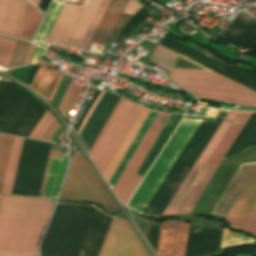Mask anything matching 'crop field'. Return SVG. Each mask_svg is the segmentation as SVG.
I'll return each mask as SVG.
<instances>
[{
	"mask_svg": "<svg viewBox=\"0 0 256 256\" xmlns=\"http://www.w3.org/2000/svg\"><path fill=\"white\" fill-rule=\"evenodd\" d=\"M251 113L228 112L162 215L190 214ZM202 120L183 119L128 203L142 214Z\"/></svg>",
	"mask_w": 256,
	"mask_h": 256,
	"instance_id": "obj_1",
	"label": "crop field"
},
{
	"mask_svg": "<svg viewBox=\"0 0 256 256\" xmlns=\"http://www.w3.org/2000/svg\"><path fill=\"white\" fill-rule=\"evenodd\" d=\"M53 202L4 196L0 210V251L37 253L38 239Z\"/></svg>",
	"mask_w": 256,
	"mask_h": 256,
	"instance_id": "obj_2",
	"label": "crop field"
},
{
	"mask_svg": "<svg viewBox=\"0 0 256 256\" xmlns=\"http://www.w3.org/2000/svg\"><path fill=\"white\" fill-rule=\"evenodd\" d=\"M169 77L198 97L256 106V92L216 73L173 69Z\"/></svg>",
	"mask_w": 256,
	"mask_h": 256,
	"instance_id": "obj_3",
	"label": "crop field"
},
{
	"mask_svg": "<svg viewBox=\"0 0 256 256\" xmlns=\"http://www.w3.org/2000/svg\"><path fill=\"white\" fill-rule=\"evenodd\" d=\"M59 200L94 201L102 204L110 212L119 210L90 164L78 149H76L71 158V165Z\"/></svg>",
	"mask_w": 256,
	"mask_h": 256,
	"instance_id": "obj_4",
	"label": "crop field"
},
{
	"mask_svg": "<svg viewBox=\"0 0 256 256\" xmlns=\"http://www.w3.org/2000/svg\"><path fill=\"white\" fill-rule=\"evenodd\" d=\"M50 146L24 139L11 194L38 197Z\"/></svg>",
	"mask_w": 256,
	"mask_h": 256,
	"instance_id": "obj_5",
	"label": "crop field"
},
{
	"mask_svg": "<svg viewBox=\"0 0 256 256\" xmlns=\"http://www.w3.org/2000/svg\"><path fill=\"white\" fill-rule=\"evenodd\" d=\"M101 0L65 3L46 43L78 48Z\"/></svg>",
	"mask_w": 256,
	"mask_h": 256,
	"instance_id": "obj_6",
	"label": "crop field"
},
{
	"mask_svg": "<svg viewBox=\"0 0 256 256\" xmlns=\"http://www.w3.org/2000/svg\"><path fill=\"white\" fill-rule=\"evenodd\" d=\"M100 256H150L128 222L113 219Z\"/></svg>",
	"mask_w": 256,
	"mask_h": 256,
	"instance_id": "obj_7",
	"label": "crop field"
},
{
	"mask_svg": "<svg viewBox=\"0 0 256 256\" xmlns=\"http://www.w3.org/2000/svg\"><path fill=\"white\" fill-rule=\"evenodd\" d=\"M256 196V168L229 211L226 219L237 228L250 204ZM239 229L250 231L256 234V198L238 226Z\"/></svg>",
	"mask_w": 256,
	"mask_h": 256,
	"instance_id": "obj_8",
	"label": "crop field"
},
{
	"mask_svg": "<svg viewBox=\"0 0 256 256\" xmlns=\"http://www.w3.org/2000/svg\"><path fill=\"white\" fill-rule=\"evenodd\" d=\"M169 116L170 114L158 112L157 116L155 117L153 123L151 124L150 128L148 129L147 133L145 134L140 145L138 146L137 150L135 151L130 162L128 163L127 167L125 168L124 172L122 173L121 177L119 178L117 184L113 189L114 192L117 194L119 200Z\"/></svg>",
	"mask_w": 256,
	"mask_h": 256,
	"instance_id": "obj_9",
	"label": "crop field"
},
{
	"mask_svg": "<svg viewBox=\"0 0 256 256\" xmlns=\"http://www.w3.org/2000/svg\"><path fill=\"white\" fill-rule=\"evenodd\" d=\"M188 227L177 221L162 223L157 255L184 256Z\"/></svg>",
	"mask_w": 256,
	"mask_h": 256,
	"instance_id": "obj_10",
	"label": "crop field"
},
{
	"mask_svg": "<svg viewBox=\"0 0 256 256\" xmlns=\"http://www.w3.org/2000/svg\"><path fill=\"white\" fill-rule=\"evenodd\" d=\"M26 0H0V34L18 38Z\"/></svg>",
	"mask_w": 256,
	"mask_h": 256,
	"instance_id": "obj_11",
	"label": "crop field"
},
{
	"mask_svg": "<svg viewBox=\"0 0 256 256\" xmlns=\"http://www.w3.org/2000/svg\"><path fill=\"white\" fill-rule=\"evenodd\" d=\"M220 37L230 42L256 46V19L240 12L230 27L225 26Z\"/></svg>",
	"mask_w": 256,
	"mask_h": 256,
	"instance_id": "obj_12",
	"label": "crop field"
},
{
	"mask_svg": "<svg viewBox=\"0 0 256 256\" xmlns=\"http://www.w3.org/2000/svg\"><path fill=\"white\" fill-rule=\"evenodd\" d=\"M255 163L240 165L213 213L226 215L253 171ZM212 213V212H211Z\"/></svg>",
	"mask_w": 256,
	"mask_h": 256,
	"instance_id": "obj_13",
	"label": "crop field"
},
{
	"mask_svg": "<svg viewBox=\"0 0 256 256\" xmlns=\"http://www.w3.org/2000/svg\"><path fill=\"white\" fill-rule=\"evenodd\" d=\"M128 0H111L88 48L92 42L106 44Z\"/></svg>",
	"mask_w": 256,
	"mask_h": 256,
	"instance_id": "obj_14",
	"label": "crop field"
},
{
	"mask_svg": "<svg viewBox=\"0 0 256 256\" xmlns=\"http://www.w3.org/2000/svg\"><path fill=\"white\" fill-rule=\"evenodd\" d=\"M140 110L141 107L133 104L132 108L130 109L129 113L127 114L126 118L124 119L116 135L114 136L113 140L111 141L110 145L108 146L107 150L105 151L104 155L102 156L101 160L97 165L102 174L106 169L107 165L109 164L110 160L112 159L113 155L115 154L116 150L118 149L119 145L121 144L129 128L131 127L132 123L134 122L135 118L137 117L138 113L140 112Z\"/></svg>",
	"mask_w": 256,
	"mask_h": 256,
	"instance_id": "obj_15",
	"label": "crop field"
},
{
	"mask_svg": "<svg viewBox=\"0 0 256 256\" xmlns=\"http://www.w3.org/2000/svg\"><path fill=\"white\" fill-rule=\"evenodd\" d=\"M149 113L150 110L142 108L141 112L139 113L138 117L136 118L135 122L133 123L132 127L130 128L122 144L120 145L119 149L117 150L116 154L114 155L113 159L111 160L110 164L108 165L107 169L103 174L107 182L111 177L112 173L114 172V170L116 169L117 165L119 164L120 160L122 159L123 155L127 151L134 137L138 133L145 119L149 115Z\"/></svg>",
	"mask_w": 256,
	"mask_h": 256,
	"instance_id": "obj_16",
	"label": "crop field"
},
{
	"mask_svg": "<svg viewBox=\"0 0 256 256\" xmlns=\"http://www.w3.org/2000/svg\"><path fill=\"white\" fill-rule=\"evenodd\" d=\"M131 106L132 103L124 100L123 104L121 105L120 109L118 110L117 114L115 115L114 119L109 125L107 131L105 132L104 136L102 137L101 141L99 142L98 146L96 147L95 151L91 156L96 165L100 160L101 156L103 155L104 151L106 150L107 146L109 145L110 141L112 140L120 124L122 123L123 119L125 118L126 114L128 113L129 109L131 108Z\"/></svg>",
	"mask_w": 256,
	"mask_h": 256,
	"instance_id": "obj_17",
	"label": "crop field"
},
{
	"mask_svg": "<svg viewBox=\"0 0 256 256\" xmlns=\"http://www.w3.org/2000/svg\"><path fill=\"white\" fill-rule=\"evenodd\" d=\"M66 164L67 157H52L43 193L44 197L53 198L56 196Z\"/></svg>",
	"mask_w": 256,
	"mask_h": 256,
	"instance_id": "obj_18",
	"label": "crop field"
},
{
	"mask_svg": "<svg viewBox=\"0 0 256 256\" xmlns=\"http://www.w3.org/2000/svg\"><path fill=\"white\" fill-rule=\"evenodd\" d=\"M48 65H41L32 84L31 88L48 99L60 74L59 71L47 69Z\"/></svg>",
	"mask_w": 256,
	"mask_h": 256,
	"instance_id": "obj_19",
	"label": "crop field"
},
{
	"mask_svg": "<svg viewBox=\"0 0 256 256\" xmlns=\"http://www.w3.org/2000/svg\"><path fill=\"white\" fill-rule=\"evenodd\" d=\"M156 114H157V112L151 111L150 115L148 116L147 120L145 121V123L143 124L139 133L137 134L136 138L132 142V144L129 147L128 151L126 152L125 156L121 160V162L118 165L117 169L115 170L114 174L110 178L108 183L112 187V189H113L114 185L116 184L118 178L120 177L121 173L123 172L124 168L126 167L127 163L129 162L134 151L136 150L137 146L139 145V143H140L141 139L143 138L144 134L146 133L147 129L149 128L150 124L152 123Z\"/></svg>",
	"mask_w": 256,
	"mask_h": 256,
	"instance_id": "obj_20",
	"label": "crop field"
},
{
	"mask_svg": "<svg viewBox=\"0 0 256 256\" xmlns=\"http://www.w3.org/2000/svg\"><path fill=\"white\" fill-rule=\"evenodd\" d=\"M43 16L42 12L27 2L20 39L31 41Z\"/></svg>",
	"mask_w": 256,
	"mask_h": 256,
	"instance_id": "obj_21",
	"label": "crop field"
},
{
	"mask_svg": "<svg viewBox=\"0 0 256 256\" xmlns=\"http://www.w3.org/2000/svg\"><path fill=\"white\" fill-rule=\"evenodd\" d=\"M59 123L57 120L52 116V114L47 110V112L44 114L42 119L39 121L37 126L34 128L32 133L30 134V138L35 139H41L49 141V139L52 137V135L55 133V131L59 127ZM61 128V126H60ZM60 128L57 130V132L54 134V136L51 138L50 142L54 139Z\"/></svg>",
	"mask_w": 256,
	"mask_h": 256,
	"instance_id": "obj_22",
	"label": "crop field"
},
{
	"mask_svg": "<svg viewBox=\"0 0 256 256\" xmlns=\"http://www.w3.org/2000/svg\"><path fill=\"white\" fill-rule=\"evenodd\" d=\"M64 2L62 1H56L54 0L34 41L33 42H39V43H44Z\"/></svg>",
	"mask_w": 256,
	"mask_h": 256,
	"instance_id": "obj_23",
	"label": "crop field"
},
{
	"mask_svg": "<svg viewBox=\"0 0 256 256\" xmlns=\"http://www.w3.org/2000/svg\"><path fill=\"white\" fill-rule=\"evenodd\" d=\"M23 139L15 137L2 193L10 194Z\"/></svg>",
	"mask_w": 256,
	"mask_h": 256,
	"instance_id": "obj_24",
	"label": "crop field"
},
{
	"mask_svg": "<svg viewBox=\"0 0 256 256\" xmlns=\"http://www.w3.org/2000/svg\"><path fill=\"white\" fill-rule=\"evenodd\" d=\"M14 137L0 135V193L2 191L6 169Z\"/></svg>",
	"mask_w": 256,
	"mask_h": 256,
	"instance_id": "obj_25",
	"label": "crop field"
},
{
	"mask_svg": "<svg viewBox=\"0 0 256 256\" xmlns=\"http://www.w3.org/2000/svg\"><path fill=\"white\" fill-rule=\"evenodd\" d=\"M176 56V54L164 48L156 46L155 50L153 51L150 57V60L156 62L157 64L161 65L162 67L170 71Z\"/></svg>",
	"mask_w": 256,
	"mask_h": 256,
	"instance_id": "obj_26",
	"label": "crop field"
},
{
	"mask_svg": "<svg viewBox=\"0 0 256 256\" xmlns=\"http://www.w3.org/2000/svg\"><path fill=\"white\" fill-rule=\"evenodd\" d=\"M109 1L110 0H102L94 18H93V20H92V22H91V24H90V26H89L86 34H85L80 46H79L80 49H84V50L86 49V47H87L95 29H96V27H97L102 15H103L105 9H106Z\"/></svg>",
	"mask_w": 256,
	"mask_h": 256,
	"instance_id": "obj_27",
	"label": "crop field"
},
{
	"mask_svg": "<svg viewBox=\"0 0 256 256\" xmlns=\"http://www.w3.org/2000/svg\"><path fill=\"white\" fill-rule=\"evenodd\" d=\"M16 42V40L0 37V64L5 65L6 68L8 67Z\"/></svg>",
	"mask_w": 256,
	"mask_h": 256,
	"instance_id": "obj_28",
	"label": "crop field"
},
{
	"mask_svg": "<svg viewBox=\"0 0 256 256\" xmlns=\"http://www.w3.org/2000/svg\"><path fill=\"white\" fill-rule=\"evenodd\" d=\"M28 46H29L28 43H24L20 41L17 42L16 48L14 50V53L8 68L20 66L23 64Z\"/></svg>",
	"mask_w": 256,
	"mask_h": 256,
	"instance_id": "obj_29",
	"label": "crop field"
},
{
	"mask_svg": "<svg viewBox=\"0 0 256 256\" xmlns=\"http://www.w3.org/2000/svg\"><path fill=\"white\" fill-rule=\"evenodd\" d=\"M252 240H254V239H251L249 237L243 236L241 234L235 233L233 231H230V230H227L224 228L221 245L245 242V241H252Z\"/></svg>",
	"mask_w": 256,
	"mask_h": 256,
	"instance_id": "obj_30",
	"label": "crop field"
},
{
	"mask_svg": "<svg viewBox=\"0 0 256 256\" xmlns=\"http://www.w3.org/2000/svg\"><path fill=\"white\" fill-rule=\"evenodd\" d=\"M83 87L81 86H77L75 85L70 96H69V99L62 111V113L64 114V116L67 118L68 114H69V111L70 109H72V107L74 106L76 100H77V97H78V94L79 92L82 90ZM81 93V92H80Z\"/></svg>",
	"mask_w": 256,
	"mask_h": 256,
	"instance_id": "obj_31",
	"label": "crop field"
},
{
	"mask_svg": "<svg viewBox=\"0 0 256 256\" xmlns=\"http://www.w3.org/2000/svg\"><path fill=\"white\" fill-rule=\"evenodd\" d=\"M122 102H123V99L120 98V100L117 103L116 107L114 108L112 114L110 115L109 119L107 120L106 124L104 125L103 129L101 130L100 134L98 135L96 141L94 142L93 146L91 147V149L89 151L90 155L94 151L95 147L97 146L98 142L100 141L101 137L103 136L104 132L106 131L108 125L110 124L111 120L113 119L114 115L116 114V112L119 109Z\"/></svg>",
	"mask_w": 256,
	"mask_h": 256,
	"instance_id": "obj_32",
	"label": "crop field"
},
{
	"mask_svg": "<svg viewBox=\"0 0 256 256\" xmlns=\"http://www.w3.org/2000/svg\"><path fill=\"white\" fill-rule=\"evenodd\" d=\"M141 179V176L135 175L134 179L132 180V182L130 183L129 187L127 188L126 192L120 200L122 203L126 204V202L128 201L129 197L131 196V194L133 193Z\"/></svg>",
	"mask_w": 256,
	"mask_h": 256,
	"instance_id": "obj_33",
	"label": "crop field"
},
{
	"mask_svg": "<svg viewBox=\"0 0 256 256\" xmlns=\"http://www.w3.org/2000/svg\"><path fill=\"white\" fill-rule=\"evenodd\" d=\"M44 49H45L44 46H39V45L36 46V49L30 64L37 63L39 61Z\"/></svg>",
	"mask_w": 256,
	"mask_h": 256,
	"instance_id": "obj_34",
	"label": "crop field"
},
{
	"mask_svg": "<svg viewBox=\"0 0 256 256\" xmlns=\"http://www.w3.org/2000/svg\"><path fill=\"white\" fill-rule=\"evenodd\" d=\"M61 153L60 152H56V151H52L50 152V156H49V160H48V164H47V168H46V172H45V176H44V180H43V184H42V188H41V192H40V196H42L43 193V189H44V185H45V180H46V176H47V172H48V167H49V163H50V159L51 156H56V157H60Z\"/></svg>",
	"mask_w": 256,
	"mask_h": 256,
	"instance_id": "obj_35",
	"label": "crop field"
},
{
	"mask_svg": "<svg viewBox=\"0 0 256 256\" xmlns=\"http://www.w3.org/2000/svg\"><path fill=\"white\" fill-rule=\"evenodd\" d=\"M73 86H74V85H71V84L68 85V87H67V89H66V91H65V94H64V96H63V98H62V101H61V103H60V105H59V107H58V109H59L60 111H62V109H63V107H64V105H65V103H66V101H67V98H68V96H69V94H70V92H71V90H72V88H73Z\"/></svg>",
	"mask_w": 256,
	"mask_h": 256,
	"instance_id": "obj_36",
	"label": "crop field"
},
{
	"mask_svg": "<svg viewBox=\"0 0 256 256\" xmlns=\"http://www.w3.org/2000/svg\"><path fill=\"white\" fill-rule=\"evenodd\" d=\"M35 46H36V45H32V44L30 45V48H29V50H28V53H27V56H26V59H25L23 65H27V64L30 63V60H31L32 54H33V52H34Z\"/></svg>",
	"mask_w": 256,
	"mask_h": 256,
	"instance_id": "obj_37",
	"label": "crop field"
},
{
	"mask_svg": "<svg viewBox=\"0 0 256 256\" xmlns=\"http://www.w3.org/2000/svg\"><path fill=\"white\" fill-rule=\"evenodd\" d=\"M0 256H37V255H29V254H15V253H1Z\"/></svg>",
	"mask_w": 256,
	"mask_h": 256,
	"instance_id": "obj_38",
	"label": "crop field"
},
{
	"mask_svg": "<svg viewBox=\"0 0 256 256\" xmlns=\"http://www.w3.org/2000/svg\"><path fill=\"white\" fill-rule=\"evenodd\" d=\"M62 77H63V75L61 74L59 79H58V81H57V83H56V85H55V87H54V89H53V91H52V93H51V95H50V97H49V99H48V101H51V99H52V97H53V95H54V93H55V91H56V89H57V87H58Z\"/></svg>",
	"mask_w": 256,
	"mask_h": 256,
	"instance_id": "obj_39",
	"label": "crop field"
},
{
	"mask_svg": "<svg viewBox=\"0 0 256 256\" xmlns=\"http://www.w3.org/2000/svg\"><path fill=\"white\" fill-rule=\"evenodd\" d=\"M56 55H57V53L56 52H54V51H52V50H47V52H46V54H45V56H47V57H49V58H51V59H55V57H56Z\"/></svg>",
	"mask_w": 256,
	"mask_h": 256,
	"instance_id": "obj_40",
	"label": "crop field"
},
{
	"mask_svg": "<svg viewBox=\"0 0 256 256\" xmlns=\"http://www.w3.org/2000/svg\"><path fill=\"white\" fill-rule=\"evenodd\" d=\"M30 2H32L34 5L38 6L40 0H29Z\"/></svg>",
	"mask_w": 256,
	"mask_h": 256,
	"instance_id": "obj_41",
	"label": "crop field"
},
{
	"mask_svg": "<svg viewBox=\"0 0 256 256\" xmlns=\"http://www.w3.org/2000/svg\"><path fill=\"white\" fill-rule=\"evenodd\" d=\"M2 198H3V196H0V206H1Z\"/></svg>",
	"mask_w": 256,
	"mask_h": 256,
	"instance_id": "obj_42",
	"label": "crop field"
},
{
	"mask_svg": "<svg viewBox=\"0 0 256 256\" xmlns=\"http://www.w3.org/2000/svg\"><path fill=\"white\" fill-rule=\"evenodd\" d=\"M234 256H251V255H234Z\"/></svg>",
	"mask_w": 256,
	"mask_h": 256,
	"instance_id": "obj_43",
	"label": "crop field"
}]
</instances>
